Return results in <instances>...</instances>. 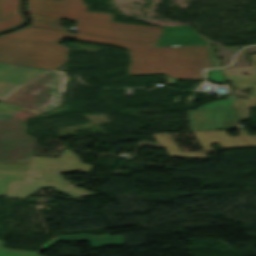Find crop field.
Wrapping results in <instances>:
<instances>
[{"mask_svg":"<svg viewBox=\"0 0 256 256\" xmlns=\"http://www.w3.org/2000/svg\"><path fill=\"white\" fill-rule=\"evenodd\" d=\"M83 3L81 0H28L27 13L32 18L29 25L64 29L59 21L65 18L77 22L73 31L153 43L162 33L159 27L111 22V14L86 12L87 5Z\"/></svg>","mask_w":256,"mask_h":256,"instance_id":"8a807250","label":"crop field"},{"mask_svg":"<svg viewBox=\"0 0 256 256\" xmlns=\"http://www.w3.org/2000/svg\"><path fill=\"white\" fill-rule=\"evenodd\" d=\"M152 51H128L131 62L128 74L165 73L166 84L176 78L203 79L202 69L212 67L206 46L151 48Z\"/></svg>","mask_w":256,"mask_h":256,"instance_id":"ac0d7876","label":"crop field"},{"mask_svg":"<svg viewBox=\"0 0 256 256\" xmlns=\"http://www.w3.org/2000/svg\"><path fill=\"white\" fill-rule=\"evenodd\" d=\"M69 47L61 44L0 37V62L54 70L67 61Z\"/></svg>","mask_w":256,"mask_h":256,"instance_id":"34b2d1b8","label":"crop field"},{"mask_svg":"<svg viewBox=\"0 0 256 256\" xmlns=\"http://www.w3.org/2000/svg\"><path fill=\"white\" fill-rule=\"evenodd\" d=\"M63 76L61 73L48 70L26 83L6 102L27 108H30L29 105L35 104L31 109L44 112L60 104V83ZM36 87L40 89L35 94H30Z\"/></svg>","mask_w":256,"mask_h":256,"instance_id":"412701ff","label":"crop field"},{"mask_svg":"<svg viewBox=\"0 0 256 256\" xmlns=\"http://www.w3.org/2000/svg\"><path fill=\"white\" fill-rule=\"evenodd\" d=\"M68 31L48 29L40 27L27 26L21 30L2 35V37L25 39V40H35V41H45V42H59L61 37H68L76 40L91 41V42H101L116 44L130 50H151L150 47H154L153 43H145L131 40H123L109 37L94 36L85 33L77 32L75 35L67 34Z\"/></svg>","mask_w":256,"mask_h":256,"instance_id":"f4fd0767","label":"crop field"},{"mask_svg":"<svg viewBox=\"0 0 256 256\" xmlns=\"http://www.w3.org/2000/svg\"><path fill=\"white\" fill-rule=\"evenodd\" d=\"M180 45H210L191 26H165L155 47Z\"/></svg>","mask_w":256,"mask_h":256,"instance_id":"dd49c442","label":"crop field"},{"mask_svg":"<svg viewBox=\"0 0 256 256\" xmlns=\"http://www.w3.org/2000/svg\"><path fill=\"white\" fill-rule=\"evenodd\" d=\"M19 0H0V30L23 21L17 10Z\"/></svg>","mask_w":256,"mask_h":256,"instance_id":"e52e79f7","label":"crop field"},{"mask_svg":"<svg viewBox=\"0 0 256 256\" xmlns=\"http://www.w3.org/2000/svg\"><path fill=\"white\" fill-rule=\"evenodd\" d=\"M61 240H75V241H90L92 247L102 246V245H122V236L109 237V234L104 235H91V234H70L63 236H55Z\"/></svg>","mask_w":256,"mask_h":256,"instance_id":"d8731c3e","label":"crop field"},{"mask_svg":"<svg viewBox=\"0 0 256 256\" xmlns=\"http://www.w3.org/2000/svg\"><path fill=\"white\" fill-rule=\"evenodd\" d=\"M4 243L2 241L0 245V256H39L36 252L4 249Z\"/></svg>","mask_w":256,"mask_h":256,"instance_id":"5a996713","label":"crop field"},{"mask_svg":"<svg viewBox=\"0 0 256 256\" xmlns=\"http://www.w3.org/2000/svg\"><path fill=\"white\" fill-rule=\"evenodd\" d=\"M205 73L207 75V78L211 80H214L216 82H225L221 69H211Z\"/></svg>","mask_w":256,"mask_h":256,"instance_id":"3316defc","label":"crop field"},{"mask_svg":"<svg viewBox=\"0 0 256 256\" xmlns=\"http://www.w3.org/2000/svg\"><path fill=\"white\" fill-rule=\"evenodd\" d=\"M207 47H208V50H209V54H210V57H211V61H212L213 67H220V66H219V62H218V59H217V58H214V56H213V54H212L211 46H207Z\"/></svg>","mask_w":256,"mask_h":256,"instance_id":"28ad6ade","label":"crop field"},{"mask_svg":"<svg viewBox=\"0 0 256 256\" xmlns=\"http://www.w3.org/2000/svg\"><path fill=\"white\" fill-rule=\"evenodd\" d=\"M55 241H57V239H55V238L51 239L50 241H48L47 243H45L44 245H42L39 250H42V249L46 248L47 246L51 245V244L54 243Z\"/></svg>","mask_w":256,"mask_h":256,"instance_id":"d1516ede","label":"crop field"}]
</instances>
